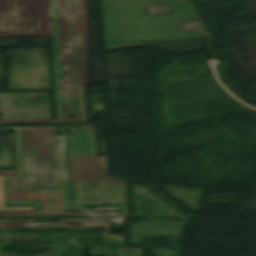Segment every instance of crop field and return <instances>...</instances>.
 I'll return each mask as SVG.
<instances>
[{"mask_svg":"<svg viewBox=\"0 0 256 256\" xmlns=\"http://www.w3.org/2000/svg\"><path fill=\"white\" fill-rule=\"evenodd\" d=\"M24 136L27 178L5 179L6 205L70 209L64 137L55 135V127H25Z\"/></svg>","mask_w":256,"mask_h":256,"instance_id":"crop-field-1","label":"crop field"},{"mask_svg":"<svg viewBox=\"0 0 256 256\" xmlns=\"http://www.w3.org/2000/svg\"><path fill=\"white\" fill-rule=\"evenodd\" d=\"M24 213H44V214H78V213H68V212H63V211H39V212H6V213H0V215L24 214Z\"/></svg>","mask_w":256,"mask_h":256,"instance_id":"crop-field-4","label":"crop field"},{"mask_svg":"<svg viewBox=\"0 0 256 256\" xmlns=\"http://www.w3.org/2000/svg\"><path fill=\"white\" fill-rule=\"evenodd\" d=\"M81 129H93V127H89V126H80Z\"/></svg>","mask_w":256,"mask_h":256,"instance_id":"crop-field-5","label":"crop field"},{"mask_svg":"<svg viewBox=\"0 0 256 256\" xmlns=\"http://www.w3.org/2000/svg\"><path fill=\"white\" fill-rule=\"evenodd\" d=\"M72 186V210L82 203L126 202L124 181L106 176L105 157L95 163L69 162Z\"/></svg>","mask_w":256,"mask_h":256,"instance_id":"crop-field-3","label":"crop field"},{"mask_svg":"<svg viewBox=\"0 0 256 256\" xmlns=\"http://www.w3.org/2000/svg\"><path fill=\"white\" fill-rule=\"evenodd\" d=\"M169 2L174 15L149 16L144 7ZM191 3V2H190ZM189 2L176 0H102L105 43L206 37L205 33L177 30L196 20Z\"/></svg>","mask_w":256,"mask_h":256,"instance_id":"crop-field-2","label":"crop field"}]
</instances>
